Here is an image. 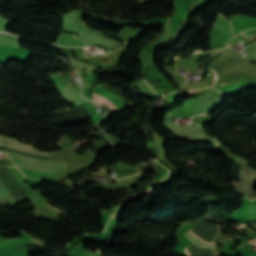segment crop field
Masks as SVG:
<instances>
[{
  "label": "crop field",
  "instance_id": "34b2d1b8",
  "mask_svg": "<svg viewBox=\"0 0 256 256\" xmlns=\"http://www.w3.org/2000/svg\"><path fill=\"white\" fill-rule=\"evenodd\" d=\"M186 237H188L194 244L202 247V248H213V245H207V244H203L201 243L199 240H197L193 235H191L190 233H184ZM186 253L188 256H192L188 250V248L185 249Z\"/></svg>",
  "mask_w": 256,
  "mask_h": 256
},
{
  "label": "crop field",
  "instance_id": "8a807250",
  "mask_svg": "<svg viewBox=\"0 0 256 256\" xmlns=\"http://www.w3.org/2000/svg\"><path fill=\"white\" fill-rule=\"evenodd\" d=\"M4 154L10 158L15 166L18 167H24L51 173L66 169L64 162L49 163L45 160L33 159L22 155L11 154L7 152H4Z\"/></svg>",
  "mask_w": 256,
  "mask_h": 256
},
{
  "label": "crop field",
  "instance_id": "412701ff",
  "mask_svg": "<svg viewBox=\"0 0 256 256\" xmlns=\"http://www.w3.org/2000/svg\"><path fill=\"white\" fill-rule=\"evenodd\" d=\"M88 110L91 112L93 116V121L95 123H100L102 120V115L97 114L96 109L92 105H87Z\"/></svg>",
  "mask_w": 256,
  "mask_h": 256
},
{
  "label": "crop field",
  "instance_id": "f4fd0767",
  "mask_svg": "<svg viewBox=\"0 0 256 256\" xmlns=\"http://www.w3.org/2000/svg\"><path fill=\"white\" fill-rule=\"evenodd\" d=\"M243 34V33H242ZM243 35H245V34H243ZM246 36V35H245ZM247 37V36H246Z\"/></svg>",
  "mask_w": 256,
  "mask_h": 256
},
{
  "label": "crop field",
  "instance_id": "ac0d7876",
  "mask_svg": "<svg viewBox=\"0 0 256 256\" xmlns=\"http://www.w3.org/2000/svg\"><path fill=\"white\" fill-rule=\"evenodd\" d=\"M0 144L5 145V146H9V147H13V148H17V149H22V150H26V151L35 152V153H39V154L49 156V153H47V152L34 150L31 146L20 144L16 140L6 138L4 136H0Z\"/></svg>",
  "mask_w": 256,
  "mask_h": 256
}]
</instances>
